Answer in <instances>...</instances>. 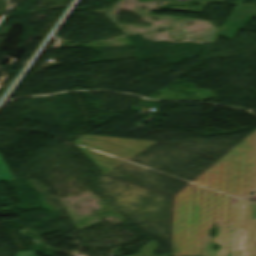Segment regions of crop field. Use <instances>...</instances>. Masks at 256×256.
I'll list each match as a JSON object with an SVG mask.
<instances>
[{
	"instance_id": "1",
	"label": "crop field",
	"mask_w": 256,
	"mask_h": 256,
	"mask_svg": "<svg viewBox=\"0 0 256 256\" xmlns=\"http://www.w3.org/2000/svg\"><path fill=\"white\" fill-rule=\"evenodd\" d=\"M245 147L256 155V131L245 141ZM256 190V174L247 187L246 200L242 201L216 192L214 222L218 229L212 250L211 238L201 236L200 254L205 256H227L228 223L230 222V256H256V203L249 202L247 195Z\"/></svg>"
},
{
	"instance_id": "2",
	"label": "crop field",
	"mask_w": 256,
	"mask_h": 256,
	"mask_svg": "<svg viewBox=\"0 0 256 256\" xmlns=\"http://www.w3.org/2000/svg\"><path fill=\"white\" fill-rule=\"evenodd\" d=\"M215 192L190 184L174 196V255H199L200 235L213 224Z\"/></svg>"
},
{
	"instance_id": "3",
	"label": "crop field",
	"mask_w": 256,
	"mask_h": 256,
	"mask_svg": "<svg viewBox=\"0 0 256 256\" xmlns=\"http://www.w3.org/2000/svg\"><path fill=\"white\" fill-rule=\"evenodd\" d=\"M255 172L254 153L240 144L193 183L245 199L246 186H250Z\"/></svg>"
},
{
	"instance_id": "4",
	"label": "crop field",
	"mask_w": 256,
	"mask_h": 256,
	"mask_svg": "<svg viewBox=\"0 0 256 256\" xmlns=\"http://www.w3.org/2000/svg\"><path fill=\"white\" fill-rule=\"evenodd\" d=\"M74 143L128 160L156 142L121 138L83 136Z\"/></svg>"
},
{
	"instance_id": "5",
	"label": "crop field",
	"mask_w": 256,
	"mask_h": 256,
	"mask_svg": "<svg viewBox=\"0 0 256 256\" xmlns=\"http://www.w3.org/2000/svg\"><path fill=\"white\" fill-rule=\"evenodd\" d=\"M104 174L124 161L78 147Z\"/></svg>"
},
{
	"instance_id": "6",
	"label": "crop field",
	"mask_w": 256,
	"mask_h": 256,
	"mask_svg": "<svg viewBox=\"0 0 256 256\" xmlns=\"http://www.w3.org/2000/svg\"><path fill=\"white\" fill-rule=\"evenodd\" d=\"M14 180L2 160L0 159V182Z\"/></svg>"
},
{
	"instance_id": "7",
	"label": "crop field",
	"mask_w": 256,
	"mask_h": 256,
	"mask_svg": "<svg viewBox=\"0 0 256 256\" xmlns=\"http://www.w3.org/2000/svg\"><path fill=\"white\" fill-rule=\"evenodd\" d=\"M34 251L18 252L17 256H34Z\"/></svg>"
}]
</instances>
